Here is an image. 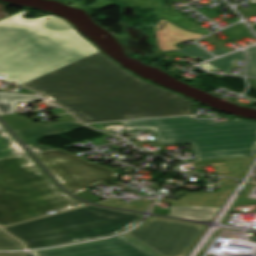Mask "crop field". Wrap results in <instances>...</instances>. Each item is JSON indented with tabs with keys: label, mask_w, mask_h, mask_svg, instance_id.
I'll return each mask as SVG.
<instances>
[{
	"label": "crop field",
	"mask_w": 256,
	"mask_h": 256,
	"mask_svg": "<svg viewBox=\"0 0 256 256\" xmlns=\"http://www.w3.org/2000/svg\"><path fill=\"white\" fill-rule=\"evenodd\" d=\"M0 21V75L84 123L192 114L193 101L122 68L58 16ZM49 17L48 20H45Z\"/></svg>",
	"instance_id": "crop-field-1"
},
{
	"label": "crop field",
	"mask_w": 256,
	"mask_h": 256,
	"mask_svg": "<svg viewBox=\"0 0 256 256\" xmlns=\"http://www.w3.org/2000/svg\"><path fill=\"white\" fill-rule=\"evenodd\" d=\"M83 205L61 192L27 154L0 159V225Z\"/></svg>",
	"instance_id": "crop-field-2"
},
{
	"label": "crop field",
	"mask_w": 256,
	"mask_h": 256,
	"mask_svg": "<svg viewBox=\"0 0 256 256\" xmlns=\"http://www.w3.org/2000/svg\"><path fill=\"white\" fill-rule=\"evenodd\" d=\"M140 218V214L89 205L3 229L35 248L114 235Z\"/></svg>",
	"instance_id": "crop-field-3"
},
{
	"label": "crop field",
	"mask_w": 256,
	"mask_h": 256,
	"mask_svg": "<svg viewBox=\"0 0 256 256\" xmlns=\"http://www.w3.org/2000/svg\"><path fill=\"white\" fill-rule=\"evenodd\" d=\"M175 144L189 143L196 160L256 153V123L232 119L216 123L212 119L195 120L194 116L169 118Z\"/></svg>",
	"instance_id": "crop-field-4"
},
{
	"label": "crop field",
	"mask_w": 256,
	"mask_h": 256,
	"mask_svg": "<svg viewBox=\"0 0 256 256\" xmlns=\"http://www.w3.org/2000/svg\"><path fill=\"white\" fill-rule=\"evenodd\" d=\"M203 229L204 226L200 224L151 217L125 236L159 256H186ZM0 256H28V254L12 253L0 254Z\"/></svg>",
	"instance_id": "crop-field-5"
},
{
	"label": "crop field",
	"mask_w": 256,
	"mask_h": 256,
	"mask_svg": "<svg viewBox=\"0 0 256 256\" xmlns=\"http://www.w3.org/2000/svg\"><path fill=\"white\" fill-rule=\"evenodd\" d=\"M33 154L72 194L100 181L115 182L117 178L115 171L93 165L63 150L55 149Z\"/></svg>",
	"instance_id": "crop-field-6"
},
{
	"label": "crop field",
	"mask_w": 256,
	"mask_h": 256,
	"mask_svg": "<svg viewBox=\"0 0 256 256\" xmlns=\"http://www.w3.org/2000/svg\"><path fill=\"white\" fill-rule=\"evenodd\" d=\"M32 253L34 256H156L123 236L113 240Z\"/></svg>",
	"instance_id": "crop-field-7"
},
{
	"label": "crop field",
	"mask_w": 256,
	"mask_h": 256,
	"mask_svg": "<svg viewBox=\"0 0 256 256\" xmlns=\"http://www.w3.org/2000/svg\"><path fill=\"white\" fill-rule=\"evenodd\" d=\"M80 122L77 120L58 123L48 126L22 129L14 131L16 135L23 141V143L29 148L31 152L48 150L50 147H44L36 142L40 137L49 136L53 134H60L62 132L74 130L80 127H83Z\"/></svg>",
	"instance_id": "crop-field-8"
},
{
	"label": "crop field",
	"mask_w": 256,
	"mask_h": 256,
	"mask_svg": "<svg viewBox=\"0 0 256 256\" xmlns=\"http://www.w3.org/2000/svg\"><path fill=\"white\" fill-rule=\"evenodd\" d=\"M164 21L166 22V26L162 30H158L163 26ZM154 35L160 51L178 49L174 44L188 39L202 37L200 34L182 30L164 19L158 21Z\"/></svg>",
	"instance_id": "crop-field-9"
},
{
	"label": "crop field",
	"mask_w": 256,
	"mask_h": 256,
	"mask_svg": "<svg viewBox=\"0 0 256 256\" xmlns=\"http://www.w3.org/2000/svg\"><path fill=\"white\" fill-rule=\"evenodd\" d=\"M230 193L231 191L185 194L177 201L163 200L173 203L171 206H222Z\"/></svg>",
	"instance_id": "crop-field-10"
},
{
	"label": "crop field",
	"mask_w": 256,
	"mask_h": 256,
	"mask_svg": "<svg viewBox=\"0 0 256 256\" xmlns=\"http://www.w3.org/2000/svg\"><path fill=\"white\" fill-rule=\"evenodd\" d=\"M220 207H170V215L199 221L212 220Z\"/></svg>",
	"instance_id": "crop-field-11"
},
{
	"label": "crop field",
	"mask_w": 256,
	"mask_h": 256,
	"mask_svg": "<svg viewBox=\"0 0 256 256\" xmlns=\"http://www.w3.org/2000/svg\"><path fill=\"white\" fill-rule=\"evenodd\" d=\"M0 117L6 122V124L12 130L53 124V123H32L26 116H19L17 114L3 115ZM57 117H60V119H58L56 123L75 119L69 114H65Z\"/></svg>",
	"instance_id": "crop-field-12"
},
{
	"label": "crop field",
	"mask_w": 256,
	"mask_h": 256,
	"mask_svg": "<svg viewBox=\"0 0 256 256\" xmlns=\"http://www.w3.org/2000/svg\"><path fill=\"white\" fill-rule=\"evenodd\" d=\"M252 159L253 157H240V158L217 159V160H203V161H194V162L201 163V162L226 161L233 174H223L220 176L243 179Z\"/></svg>",
	"instance_id": "crop-field-13"
},
{
	"label": "crop field",
	"mask_w": 256,
	"mask_h": 256,
	"mask_svg": "<svg viewBox=\"0 0 256 256\" xmlns=\"http://www.w3.org/2000/svg\"><path fill=\"white\" fill-rule=\"evenodd\" d=\"M42 100L50 107L54 105L39 98L38 96H26V95H15V94H0V115L15 113L17 101H34Z\"/></svg>",
	"instance_id": "crop-field-14"
},
{
	"label": "crop field",
	"mask_w": 256,
	"mask_h": 256,
	"mask_svg": "<svg viewBox=\"0 0 256 256\" xmlns=\"http://www.w3.org/2000/svg\"><path fill=\"white\" fill-rule=\"evenodd\" d=\"M156 139L164 145L174 144L168 118L148 120Z\"/></svg>",
	"instance_id": "crop-field-15"
},
{
	"label": "crop field",
	"mask_w": 256,
	"mask_h": 256,
	"mask_svg": "<svg viewBox=\"0 0 256 256\" xmlns=\"http://www.w3.org/2000/svg\"><path fill=\"white\" fill-rule=\"evenodd\" d=\"M243 54H244L243 51H238L236 53L219 58L217 60L204 63L201 65V67L207 71H212V72H215V71L229 72L234 59H245V56Z\"/></svg>",
	"instance_id": "crop-field-16"
},
{
	"label": "crop field",
	"mask_w": 256,
	"mask_h": 256,
	"mask_svg": "<svg viewBox=\"0 0 256 256\" xmlns=\"http://www.w3.org/2000/svg\"><path fill=\"white\" fill-rule=\"evenodd\" d=\"M25 151L8 132L0 133V158L24 154Z\"/></svg>",
	"instance_id": "crop-field-17"
},
{
	"label": "crop field",
	"mask_w": 256,
	"mask_h": 256,
	"mask_svg": "<svg viewBox=\"0 0 256 256\" xmlns=\"http://www.w3.org/2000/svg\"><path fill=\"white\" fill-rule=\"evenodd\" d=\"M154 201H136L130 203V205H126L125 202L119 201L117 199L108 200L105 202H101L98 204L110 206V207H117V208H125L137 211H144L146 210Z\"/></svg>",
	"instance_id": "crop-field-18"
},
{
	"label": "crop field",
	"mask_w": 256,
	"mask_h": 256,
	"mask_svg": "<svg viewBox=\"0 0 256 256\" xmlns=\"http://www.w3.org/2000/svg\"><path fill=\"white\" fill-rule=\"evenodd\" d=\"M23 248L22 244L0 230V250Z\"/></svg>",
	"instance_id": "crop-field-19"
},
{
	"label": "crop field",
	"mask_w": 256,
	"mask_h": 256,
	"mask_svg": "<svg viewBox=\"0 0 256 256\" xmlns=\"http://www.w3.org/2000/svg\"><path fill=\"white\" fill-rule=\"evenodd\" d=\"M176 51H178L184 55H187V56H194V57L204 59V60L213 58L212 56H210L208 53H206L204 50H202L197 45H193V46H190V47H187V48H184L181 50H176Z\"/></svg>",
	"instance_id": "crop-field-20"
},
{
	"label": "crop field",
	"mask_w": 256,
	"mask_h": 256,
	"mask_svg": "<svg viewBox=\"0 0 256 256\" xmlns=\"http://www.w3.org/2000/svg\"><path fill=\"white\" fill-rule=\"evenodd\" d=\"M249 56V62L247 65L246 76L256 77V46L246 49Z\"/></svg>",
	"instance_id": "crop-field-21"
},
{
	"label": "crop field",
	"mask_w": 256,
	"mask_h": 256,
	"mask_svg": "<svg viewBox=\"0 0 256 256\" xmlns=\"http://www.w3.org/2000/svg\"><path fill=\"white\" fill-rule=\"evenodd\" d=\"M126 130L150 129L147 120L123 122Z\"/></svg>",
	"instance_id": "crop-field-22"
},
{
	"label": "crop field",
	"mask_w": 256,
	"mask_h": 256,
	"mask_svg": "<svg viewBox=\"0 0 256 256\" xmlns=\"http://www.w3.org/2000/svg\"><path fill=\"white\" fill-rule=\"evenodd\" d=\"M234 187H235L234 180L223 178L221 183H220V188H219L218 191H220V190H233Z\"/></svg>",
	"instance_id": "crop-field-23"
},
{
	"label": "crop field",
	"mask_w": 256,
	"mask_h": 256,
	"mask_svg": "<svg viewBox=\"0 0 256 256\" xmlns=\"http://www.w3.org/2000/svg\"><path fill=\"white\" fill-rule=\"evenodd\" d=\"M215 167V173L221 174V173H230L225 163H217V164H211Z\"/></svg>",
	"instance_id": "crop-field-24"
},
{
	"label": "crop field",
	"mask_w": 256,
	"mask_h": 256,
	"mask_svg": "<svg viewBox=\"0 0 256 256\" xmlns=\"http://www.w3.org/2000/svg\"><path fill=\"white\" fill-rule=\"evenodd\" d=\"M75 195H77L80 198L85 199V200H88V199L94 197V195L91 192H89L87 189L78 194H75Z\"/></svg>",
	"instance_id": "crop-field-25"
},
{
	"label": "crop field",
	"mask_w": 256,
	"mask_h": 256,
	"mask_svg": "<svg viewBox=\"0 0 256 256\" xmlns=\"http://www.w3.org/2000/svg\"><path fill=\"white\" fill-rule=\"evenodd\" d=\"M211 53L215 54L216 56H220V55L226 54L227 52L219 49V50L211 51Z\"/></svg>",
	"instance_id": "crop-field-26"
},
{
	"label": "crop field",
	"mask_w": 256,
	"mask_h": 256,
	"mask_svg": "<svg viewBox=\"0 0 256 256\" xmlns=\"http://www.w3.org/2000/svg\"><path fill=\"white\" fill-rule=\"evenodd\" d=\"M8 16V14H6L4 11H3V4L0 3V19L3 18V17H6Z\"/></svg>",
	"instance_id": "crop-field-27"
},
{
	"label": "crop field",
	"mask_w": 256,
	"mask_h": 256,
	"mask_svg": "<svg viewBox=\"0 0 256 256\" xmlns=\"http://www.w3.org/2000/svg\"><path fill=\"white\" fill-rule=\"evenodd\" d=\"M50 112L55 115V114H59V113H63L66 112L65 110L58 108V109H54V110H50Z\"/></svg>",
	"instance_id": "crop-field-28"
},
{
	"label": "crop field",
	"mask_w": 256,
	"mask_h": 256,
	"mask_svg": "<svg viewBox=\"0 0 256 256\" xmlns=\"http://www.w3.org/2000/svg\"><path fill=\"white\" fill-rule=\"evenodd\" d=\"M6 131L1 125H0V132Z\"/></svg>",
	"instance_id": "crop-field-29"
},
{
	"label": "crop field",
	"mask_w": 256,
	"mask_h": 256,
	"mask_svg": "<svg viewBox=\"0 0 256 256\" xmlns=\"http://www.w3.org/2000/svg\"><path fill=\"white\" fill-rule=\"evenodd\" d=\"M251 241L256 242V237H252V238H251Z\"/></svg>",
	"instance_id": "crop-field-30"
},
{
	"label": "crop field",
	"mask_w": 256,
	"mask_h": 256,
	"mask_svg": "<svg viewBox=\"0 0 256 256\" xmlns=\"http://www.w3.org/2000/svg\"><path fill=\"white\" fill-rule=\"evenodd\" d=\"M255 180H256V177H255Z\"/></svg>",
	"instance_id": "crop-field-31"
}]
</instances>
